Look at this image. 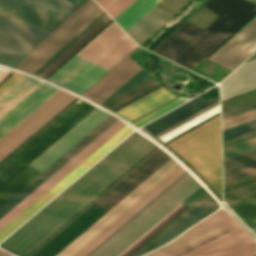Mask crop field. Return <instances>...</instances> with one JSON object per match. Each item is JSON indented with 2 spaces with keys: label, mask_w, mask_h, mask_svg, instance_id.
<instances>
[{
  "label": "crop field",
  "mask_w": 256,
  "mask_h": 256,
  "mask_svg": "<svg viewBox=\"0 0 256 256\" xmlns=\"http://www.w3.org/2000/svg\"><path fill=\"white\" fill-rule=\"evenodd\" d=\"M181 103H183V102L178 98V99L172 101L171 103H169V104L163 106L162 108L156 110L155 112L149 114L148 116H146V117L140 119L139 121H137V122H135V123H133V124H135L136 126L139 127V126H141V125L147 123L148 121H150V120L156 118L157 116H159V115L165 113L166 111H168V110L174 108L175 106H177V105H179V104H181Z\"/></svg>",
  "instance_id": "obj_43"
},
{
  "label": "crop field",
  "mask_w": 256,
  "mask_h": 256,
  "mask_svg": "<svg viewBox=\"0 0 256 256\" xmlns=\"http://www.w3.org/2000/svg\"><path fill=\"white\" fill-rule=\"evenodd\" d=\"M217 208H219V204L217 203V201L215 200L212 204H210L206 209H204L200 214H198L193 220H191L187 225H185L180 231H178L173 237H171L167 242H169L170 240H172L173 238H175L176 236H178L179 234H181L183 231H185L186 229H188L189 227H191L193 224H195L197 221H199L200 219H202L203 217H205L206 215L210 214L211 212H213L214 210H216ZM165 242V243H167ZM164 243V244H165Z\"/></svg>",
  "instance_id": "obj_45"
},
{
  "label": "crop field",
  "mask_w": 256,
  "mask_h": 256,
  "mask_svg": "<svg viewBox=\"0 0 256 256\" xmlns=\"http://www.w3.org/2000/svg\"><path fill=\"white\" fill-rule=\"evenodd\" d=\"M21 75L15 73L8 81L0 87V93L14 83ZM40 83L22 76L2 94H0V117L32 92Z\"/></svg>",
  "instance_id": "obj_21"
},
{
  "label": "crop field",
  "mask_w": 256,
  "mask_h": 256,
  "mask_svg": "<svg viewBox=\"0 0 256 256\" xmlns=\"http://www.w3.org/2000/svg\"><path fill=\"white\" fill-rule=\"evenodd\" d=\"M156 146L134 132L2 242L0 247L19 256L28 255Z\"/></svg>",
  "instance_id": "obj_1"
},
{
  "label": "crop field",
  "mask_w": 256,
  "mask_h": 256,
  "mask_svg": "<svg viewBox=\"0 0 256 256\" xmlns=\"http://www.w3.org/2000/svg\"><path fill=\"white\" fill-rule=\"evenodd\" d=\"M205 191L206 190L201 186L193 194H191L187 199H185L181 203V205L185 208ZM181 205L179 204L175 209H173L169 214H167L163 219H161L157 224H155L151 229H149L145 234H143L139 239H137L133 244H131L126 250H124L118 256L128 255L132 250H134L143 241H145L148 237H150L154 232H156L159 228H161L164 224H166L170 219H172L175 215H177L181 210H183L184 208Z\"/></svg>",
  "instance_id": "obj_30"
},
{
  "label": "crop field",
  "mask_w": 256,
  "mask_h": 256,
  "mask_svg": "<svg viewBox=\"0 0 256 256\" xmlns=\"http://www.w3.org/2000/svg\"><path fill=\"white\" fill-rule=\"evenodd\" d=\"M26 167L27 166L11 158L7 160L3 165L0 166V188ZM39 174L40 173L27 167L5 186H3L0 189V207Z\"/></svg>",
  "instance_id": "obj_20"
},
{
  "label": "crop field",
  "mask_w": 256,
  "mask_h": 256,
  "mask_svg": "<svg viewBox=\"0 0 256 256\" xmlns=\"http://www.w3.org/2000/svg\"><path fill=\"white\" fill-rule=\"evenodd\" d=\"M111 19L107 15L97 25H95L90 31H88L83 37H81L75 44H73L68 50H66L51 66L44 70L39 76L45 78L50 72H52L58 65H60L66 58H68L74 51H76L82 44H84L90 37H92L98 30H100Z\"/></svg>",
  "instance_id": "obj_32"
},
{
  "label": "crop field",
  "mask_w": 256,
  "mask_h": 256,
  "mask_svg": "<svg viewBox=\"0 0 256 256\" xmlns=\"http://www.w3.org/2000/svg\"><path fill=\"white\" fill-rule=\"evenodd\" d=\"M202 8L219 17L204 30L186 21L153 52L192 70L256 13L245 0H210Z\"/></svg>",
  "instance_id": "obj_2"
},
{
  "label": "crop field",
  "mask_w": 256,
  "mask_h": 256,
  "mask_svg": "<svg viewBox=\"0 0 256 256\" xmlns=\"http://www.w3.org/2000/svg\"><path fill=\"white\" fill-rule=\"evenodd\" d=\"M5 254H7V253L4 252V251H2V250H0V256H3V255H5Z\"/></svg>",
  "instance_id": "obj_51"
},
{
  "label": "crop field",
  "mask_w": 256,
  "mask_h": 256,
  "mask_svg": "<svg viewBox=\"0 0 256 256\" xmlns=\"http://www.w3.org/2000/svg\"><path fill=\"white\" fill-rule=\"evenodd\" d=\"M140 69L141 68L138 65H136L132 60L125 56L96 83H94L87 91H85L83 95L101 104ZM148 77L150 76L141 69L107 100Z\"/></svg>",
  "instance_id": "obj_12"
},
{
  "label": "crop field",
  "mask_w": 256,
  "mask_h": 256,
  "mask_svg": "<svg viewBox=\"0 0 256 256\" xmlns=\"http://www.w3.org/2000/svg\"><path fill=\"white\" fill-rule=\"evenodd\" d=\"M256 174V166L250 167L248 169L233 173L231 175L224 177V185L231 183L233 181L248 177L250 175Z\"/></svg>",
  "instance_id": "obj_46"
},
{
  "label": "crop field",
  "mask_w": 256,
  "mask_h": 256,
  "mask_svg": "<svg viewBox=\"0 0 256 256\" xmlns=\"http://www.w3.org/2000/svg\"><path fill=\"white\" fill-rule=\"evenodd\" d=\"M113 18L133 0H96Z\"/></svg>",
  "instance_id": "obj_39"
},
{
  "label": "crop field",
  "mask_w": 256,
  "mask_h": 256,
  "mask_svg": "<svg viewBox=\"0 0 256 256\" xmlns=\"http://www.w3.org/2000/svg\"><path fill=\"white\" fill-rule=\"evenodd\" d=\"M180 164L173 158L56 256H71Z\"/></svg>",
  "instance_id": "obj_11"
},
{
  "label": "crop field",
  "mask_w": 256,
  "mask_h": 256,
  "mask_svg": "<svg viewBox=\"0 0 256 256\" xmlns=\"http://www.w3.org/2000/svg\"><path fill=\"white\" fill-rule=\"evenodd\" d=\"M240 228L227 212L220 209L145 256H186ZM254 245L256 242L242 228L188 256H234Z\"/></svg>",
  "instance_id": "obj_4"
},
{
  "label": "crop field",
  "mask_w": 256,
  "mask_h": 256,
  "mask_svg": "<svg viewBox=\"0 0 256 256\" xmlns=\"http://www.w3.org/2000/svg\"><path fill=\"white\" fill-rule=\"evenodd\" d=\"M200 186L188 173L90 256H117Z\"/></svg>",
  "instance_id": "obj_8"
},
{
  "label": "crop field",
  "mask_w": 256,
  "mask_h": 256,
  "mask_svg": "<svg viewBox=\"0 0 256 256\" xmlns=\"http://www.w3.org/2000/svg\"><path fill=\"white\" fill-rule=\"evenodd\" d=\"M219 105H220V104H219ZM217 106H218V105H217ZM208 111H209V110H208ZM218 112H220V106H218V107H216V108L210 110L209 112H207V113H205V114H203V115H201V116L199 115L200 117H198V118H196V119L190 121L189 123H187V124H185V125L179 127L178 129H176V130L170 132L169 134H167V135H165V136H163V137H161V138H159V139H161L162 141L165 142V141H167V140L173 138L174 136H176V135L182 133L183 131H185V130L191 128V127H193L194 125H196V124L202 122L203 120H205V119L211 117L212 115H214V114H216V113H218Z\"/></svg>",
  "instance_id": "obj_38"
},
{
  "label": "crop field",
  "mask_w": 256,
  "mask_h": 256,
  "mask_svg": "<svg viewBox=\"0 0 256 256\" xmlns=\"http://www.w3.org/2000/svg\"><path fill=\"white\" fill-rule=\"evenodd\" d=\"M62 1H66L72 4H76V5H81L82 3H84L86 0H62Z\"/></svg>",
  "instance_id": "obj_49"
},
{
  "label": "crop field",
  "mask_w": 256,
  "mask_h": 256,
  "mask_svg": "<svg viewBox=\"0 0 256 256\" xmlns=\"http://www.w3.org/2000/svg\"><path fill=\"white\" fill-rule=\"evenodd\" d=\"M256 108V99L222 111L223 120Z\"/></svg>",
  "instance_id": "obj_42"
},
{
  "label": "crop field",
  "mask_w": 256,
  "mask_h": 256,
  "mask_svg": "<svg viewBox=\"0 0 256 256\" xmlns=\"http://www.w3.org/2000/svg\"><path fill=\"white\" fill-rule=\"evenodd\" d=\"M256 130V119L223 131V142Z\"/></svg>",
  "instance_id": "obj_37"
},
{
  "label": "crop field",
  "mask_w": 256,
  "mask_h": 256,
  "mask_svg": "<svg viewBox=\"0 0 256 256\" xmlns=\"http://www.w3.org/2000/svg\"><path fill=\"white\" fill-rule=\"evenodd\" d=\"M255 50L256 18L211 56L210 59L233 70Z\"/></svg>",
  "instance_id": "obj_16"
},
{
  "label": "crop field",
  "mask_w": 256,
  "mask_h": 256,
  "mask_svg": "<svg viewBox=\"0 0 256 256\" xmlns=\"http://www.w3.org/2000/svg\"><path fill=\"white\" fill-rule=\"evenodd\" d=\"M210 196L211 195L207 191L203 193L199 198H197L193 203H191L187 208H185L181 213H179L175 218H173L169 223H167L163 228H161L157 233H155L151 238H149L129 256H139L142 252H144L148 247H150L154 242H156L160 237H162L166 232H168L172 227H174L178 222H180L184 217H186L190 212H192L196 207H198Z\"/></svg>",
  "instance_id": "obj_29"
},
{
  "label": "crop field",
  "mask_w": 256,
  "mask_h": 256,
  "mask_svg": "<svg viewBox=\"0 0 256 256\" xmlns=\"http://www.w3.org/2000/svg\"><path fill=\"white\" fill-rule=\"evenodd\" d=\"M7 255H9V254H7ZM7 255H5V256H7ZM9 256H12V255H9Z\"/></svg>",
  "instance_id": "obj_52"
},
{
  "label": "crop field",
  "mask_w": 256,
  "mask_h": 256,
  "mask_svg": "<svg viewBox=\"0 0 256 256\" xmlns=\"http://www.w3.org/2000/svg\"><path fill=\"white\" fill-rule=\"evenodd\" d=\"M229 207L251 230L256 228V193L229 205Z\"/></svg>",
  "instance_id": "obj_31"
},
{
  "label": "crop field",
  "mask_w": 256,
  "mask_h": 256,
  "mask_svg": "<svg viewBox=\"0 0 256 256\" xmlns=\"http://www.w3.org/2000/svg\"><path fill=\"white\" fill-rule=\"evenodd\" d=\"M136 46L113 22L78 55L110 69ZM78 55L52 75L49 80L82 94L108 69Z\"/></svg>",
  "instance_id": "obj_5"
},
{
  "label": "crop field",
  "mask_w": 256,
  "mask_h": 256,
  "mask_svg": "<svg viewBox=\"0 0 256 256\" xmlns=\"http://www.w3.org/2000/svg\"><path fill=\"white\" fill-rule=\"evenodd\" d=\"M217 101L219 98L203 100L197 97L143 127L156 135Z\"/></svg>",
  "instance_id": "obj_22"
},
{
  "label": "crop field",
  "mask_w": 256,
  "mask_h": 256,
  "mask_svg": "<svg viewBox=\"0 0 256 256\" xmlns=\"http://www.w3.org/2000/svg\"><path fill=\"white\" fill-rule=\"evenodd\" d=\"M256 118V109L223 121V130Z\"/></svg>",
  "instance_id": "obj_44"
},
{
  "label": "crop field",
  "mask_w": 256,
  "mask_h": 256,
  "mask_svg": "<svg viewBox=\"0 0 256 256\" xmlns=\"http://www.w3.org/2000/svg\"><path fill=\"white\" fill-rule=\"evenodd\" d=\"M160 1L161 0H136L114 20L126 31Z\"/></svg>",
  "instance_id": "obj_27"
},
{
  "label": "crop field",
  "mask_w": 256,
  "mask_h": 256,
  "mask_svg": "<svg viewBox=\"0 0 256 256\" xmlns=\"http://www.w3.org/2000/svg\"><path fill=\"white\" fill-rule=\"evenodd\" d=\"M256 1V0H255Z\"/></svg>",
  "instance_id": "obj_54"
},
{
  "label": "crop field",
  "mask_w": 256,
  "mask_h": 256,
  "mask_svg": "<svg viewBox=\"0 0 256 256\" xmlns=\"http://www.w3.org/2000/svg\"><path fill=\"white\" fill-rule=\"evenodd\" d=\"M214 200L215 199L212 196L209 199H207L203 204H201L197 209H195L191 214H189L185 219H183L179 224H177L173 229H171L167 234H165L161 239H159L144 253L161 246L165 241H167L171 236H173L178 230H180L185 224H187L191 219H193L198 213H200L205 207H207Z\"/></svg>",
  "instance_id": "obj_35"
},
{
  "label": "crop field",
  "mask_w": 256,
  "mask_h": 256,
  "mask_svg": "<svg viewBox=\"0 0 256 256\" xmlns=\"http://www.w3.org/2000/svg\"><path fill=\"white\" fill-rule=\"evenodd\" d=\"M256 150V137L223 149L224 161Z\"/></svg>",
  "instance_id": "obj_36"
},
{
  "label": "crop field",
  "mask_w": 256,
  "mask_h": 256,
  "mask_svg": "<svg viewBox=\"0 0 256 256\" xmlns=\"http://www.w3.org/2000/svg\"><path fill=\"white\" fill-rule=\"evenodd\" d=\"M217 104H219V102H217V103H215V104L211 105L210 107H208V108H206V109L202 110L201 112H199V113H197V114L193 115L192 117H190V118H188V119H186V120L182 121L181 123H179V124H177V125L173 126L172 128H170V129H168V130L164 131L163 133H161V134H159V135H157V136H155V137H157V138H158V137H160V136L164 135L165 133H167V132H169V131L173 130L174 128H176V127L180 126L181 124H183V123H185V122L189 121L190 119H192V118L196 117L197 115H199V114L203 113L204 111H206V110H208V109L212 108L213 106H215V105H217Z\"/></svg>",
  "instance_id": "obj_47"
},
{
  "label": "crop field",
  "mask_w": 256,
  "mask_h": 256,
  "mask_svg": "<svg viewBox=\"0 0 256 256\" xmlns=\"http://www.w3.org/2000/svg\"><path fill=\"white\" fill-rule=\"evenodd\" d=\"M131 131L132 129L126 125L112 138H110L106 143H104L99 149H97L93 154H91L87 159H85L80 165H78L74 170H72L68 175H66L62 180H60L55 186H53L49 191H47L43 196H41L37 201H35L30 207H28L24 212H22L18 217H16L11 223H9L5 228H3L0 231V241H2L6 236H8L13 230H15L25 220H27L32 214H34L38 209H40L45 203H47L51 198H53L58 192H60L64 187H66L70 182H72L77 176H79L83 171H85L90 165H92L96 160H98L103 154H105L109 149H111L115 144H117Z\"/></svg>",
  "instance_id": "obj_13"
},
{
  "label": "crop field",
  "mask_w": 256,
  "mask_h": 256,
  "mask_svg": "<svg viewBox=\"0 0 256 256\" xmlns=\"http://www.w3.org/2000/svg\"><path fill=\"white\" fill-rule=\"evenodd\" d=\"M116 121L117 119L110 116L90 134H88L84 139H82L78 144H76L71 150H69L46 171H44L40 176H38L34 181H32L16 196H14L10 201H8L3 207H1L0 218L3 217L8 211H10L14 206H16L27 195H29L33 190H35L39 185H41L52 174H54L58 169H60L64 164H66L70 159H72L77 153H79L83 148H85L89 143H91L96 137H98L102 132H104Z\"/></svg>",
  "instance_id": "obj_15"
},
{
  "label": "crop field",
  "mask_w": 256,
  "mask_h": 256,
  "mask_svg": "<svg viewBox=\"0 0 256 256\" xmlns=\"http://www.w3.org/2000/svg\"><path fill=\"white\" fill-rule=\"evenodd\" d=\"M256 190V181L225 192L224 202L229 203Z\"/></svg>",
  "instance_id": "obj_40"
},
{
  "label": "crop field",
  "mask_w": 256,
  "mask_h": 256,
  "mask_svg": "<svg viewBox=\"0 0 256 256\" xmlns=\"http://www.w3.org/2000/svg\"><path fill=\"white\" fill-rule=\"evenodd\" d=\"M158 86L160 85L150 77L148 80L138 84L137 86L125 91L124 93L101 105L114 111Z\"/></svg>",
  "instance_id": "obj_28"
},
{
  "label": "crop field",
  "mask_w": 256,
  "mask_h": 256,
  "mask_svg": "<svg viewBox=\"0 0 256 256\" xmlns=\"http://www.w3.org/2000/svg\"><path fill=\"white\" fill-rule=\"evenodd\" d=\"M49 32L0 18V46L29 54Z\"/></svg>",
  "instance_id": "obj_17"
},
{
  "label": "crop field",
  "mask_w": 256,
  "mask_h": 256,
  "mask_svg": "<svg viewBox=\"0 0 256 256\" xmlns=\"http://www.w3.org/2000/svg\"><path fill=\"white\" fill-rule=\"evenodd\" d=\"M10 72V70H6L3 68H0V81Z\"/></svg>",
  "instance_id": "obj_50"
},
{
  "label": "crop field",
  "mask_w": 256,
  "mask_h": 256,
  "mask_svg": "<svg viewBox=\"0 0 256 256\" xmlns=\"http://www.w3.org/2000/svg\"><path fill=\"white\" fill-rule=\"evenodd\" d=\"M125 125L126 124L118 120L110 128H108L104 133H102L98 138H96L91 144H89L85 149H83L79 154H77L72 160H70L66 165H64L60 170H58L54 175H52L47 181H45L29 196H27L22 202H20L16 207H14L10 212H8L3 218H1L0 230L3 227H5L9 222H11L16 216H18L22 211H24L28 206H30L35 200H37L41 195H43L47 190H49L60 179H62L66 174H68L72 169H74L78 164H80L85 158H87L91 153H93L97 148H99L104 142H106L110 137H112L116 132H118Z\"/></svg>",
  "instance_id": "obj_14"
},
{
  "label": "crop field",
  "mask_w": 256,
  "mask_h": 256,
  "mask_svg": "<svg viewBox=\"0 0 256 256\" xmlns=\"http://www.w3.org/2000/svg\"><path fill=\"white\" fill-rule=\"evenodd\" d=\"M0 1L13 4L19 7H23L29 10H33L39 13H43L49 16H53L59 19H63V20L67 18L72 12H74L79 7V6L72 5L59 0H31V1L48 5L54 8H58L64 11L71 12V13H68V12H64V11L54 9L48 6H44L38 3H34L28 0H0Z\"/></svg>",
  "instance_id": "obj_24"
},
{
  "label": "crop field",
  "mask_w": 256,
  "mask_h": 256,
  "mask_svg": "<svg viewBox=\"0 0 256 256\" xmlns=\"http://www.w3.org/2000/svg\"><path fill=\"white\" fill-rule=\"evenodd\" d=\"M171 158L159 148L94 204L108 211ZM94 204L32 256H55L107 212Z\"/></svg>",
  "instance_id": "obj_6"
},
{
  "label": "crop field",
  "mask_w": 256,
  "mask_h": 256,
  "mask_svg": "<svg viewBox=\"0 0 256 256\" xmlns=\"http://www.w3.org/2000/svg\"><path fill=\"white\" fill-rule=\"evenodd\" d=\"M173 97L175 96L171 95L162 88L154 92L153 94L145 97L144 99L134 103L133 105L125 108L124 110L118 112L117 114L130 121Z\"/></svg>",
  "instance_id": "obj_26"
},
{
  "label": "crop field",
  "mask_w": 256,
  "mask_h": 256,
  "mask_svg": "<svg viewBox=\"0 0 256 256\" xmlns=\"http://www.w3.org/2000/svg\"><path fill=\"white\" fill-rule=\"evenodd\" d=\"M171 16L155 6L126 32L139 44Z\"/></svg>",
  "instance_id": "obj_25"
},
{
  "label": "crop field",
  "mask_w": 256,
  "mask_h": 256,
  "mask_svg": "<svg viewBox=\"0 0 256 256\" xmlns=\"http://www.w3.org/2000/svg\"><path fill=\"white\" fill-rule=\"evenodd\" d=\"M94 108L79 99L12 157L28 165ZM108 116L95 108L28 166L42 173Z\"/></svg>",
  "instance_id": "obj_3"
},
{
  "label": "crop field",
  "mask_w": 256,
  "mask_h": 256,
  "mask_svg": "<svg viewBox=\"0 0 256 256\" xmlns=\"http://www.w3.org/2000/svg\"><path fill=\"white\" fill-rule=\"evenodd\" d=\"M254 254H256V246L247 250V251H245V252H243V253H241V254H239V255H237V256H252Z\"/></svg>",
  "instance_id": "obj_48"
},
{
  "label": "crop field",
  "mask_w": 256,
  "mask_h": 256,
  "mask_svg": "<svg viewBox=\"0 0 256 256\" xmlns=\"http://www.w3.org/2000/svg\"><path fill=\"white\" fill-rule=\"evenodd\" d=\"M26 54L0 47V62L16 66Z\"/></svg>",
  "instance_id": "obj_41"
},
{
  "label": "crop field",
  "mask_w": 256,
  "mask_h": 256,
  "mask_svg": "<svg viewBox=\"0 0 256 256\" xmlns=\"http://www.w3.org/2000/svg\"><path fill=\"white\" fill-rule=\"evenodd\" d=\"M256 256V255H255Z\"/></svg>",
  "instance_id": "obj_53"
},
{
  "label": "crop field",
  "mask_w": 256,
  "mask_h": 256,
  "mask_svg": "<svg viewBox=\"0 0 256 256\" xmlns=\"http://www.w3.org/2000/svg\"><path fill=\"white\" fill-rule=\"evenodd\" d=\"M58 89L41 84L0 119V138L51 97Z\"/></svg>",
  "instance_id": "obj_19"
},
{
  "label": "crop field",
  "mask_w": 256,
  "mask_h": 256,
  "mask_svg": "<svg viewBox=\"0 0 256 256\" xmlns=\"http://www.w3.org/2000/svg\"><path fill=\"white\" fill-rule=\"evenodd\" d=\"M256 165V151L224 162V176Z\"/></svg>",
  "instance_id": "obj_33"
},
{
  "label": "crop field",
  "mask_w": 256,
  "mask_h": 256,
  "mask_svg": "<svg viewBox=\"0 0 256 256\" xmlns=\"http://www.w3.org/2000/svg\"><path fill=\"white\" fill-rule=\"evenodd\" d=\"M185 171L186 170L181 165L176 168L165 179L157 184L152 190L144 195L139 201H137L133 206H131L127 211H125L121 216H119L115 221H113L108 227H106L102 232H100L96 237H94L73 256H86L99 243H101L105 238H107L111 233H113L117 228H119L123 223L131 218L145 204H147L151 199H153L157 194H159L163 189H165Z\"/></svg>",
  "instance_id": "obj_18"
},
{
  "label": "crop field",
  "mask_w": 256,
  "mask_h": 256,
  "mask_svg": "<svg viewBox=\"0 0 256 256\" xmlns=\"http://www.w3.org/2000/svg\"><path fill=\"white\" fill-rule=\"evenodd\" d=\"M103 10L88 0L56 28L17 67L32 73Z\"/></svg>",
  "instance_id": "obj_9"
},
{
  "label": "crop field",
  "mask_w": 256,
  "mask_h": 256,
  "mask_svg": "<svg viewBox=\"0 0 256 256\" xmlns=\"http://www.w3.org/2000/svg\"><path fill=\"white\" fill-rule=\"evenodd\" d=\"M166 145L187 160L221 195L220 115Z\"/></svg>",
  "instance_id": "obj_7"
},
{
  "label": "crop field",
  "mask_w": 256,
  "mask_h": 256,
  "mask_svg": "<svg viewBox=\"0 0 256 256\" xmlns=\"http://www.w3.org/2000/svg\"><path fill=\"white\" fill-rule=\"evenodd\" d=\"M107 14L103 11L92 22H90L84 29H82L76 36H74L68 43H66L60 50H58L52 57H50L44 64H42L33 74L38 75L50 64H52L66 49H68L74 42H76L81 36H83L88 30H90L96 23H98Z\"/></svg>",
  "instance_id": "obj_34"
},
{
  "label": "crop field",
  "mask_w": 256,
  "mask_h": 256,
  "mask_svg": "<svg viewBox=\"0 0 256 256\" xmlns=\"http://www.w3.org/2000/svg\"><path fill=\"white\" fill-rule=\"evenodd\" d=\"M0 16L52 32L62 20L0 2Z\"/></svg>",
  "instance_id": "obj_23"
},
{
  "label": "crop field",
  "mask_w": 256,
  "mask_h": 256,
  "mask_svg": "<svg viewBox=\"0 0 256 256\" xmlns=\"http://www.w3.org/2000/svg\"><path fill=\"white\" fill-rule=\"evenodd\" d=\"M76 97L61 90L55 93L9 133L0 139V161L69 105Z\"/></svg>",
  "instance_id": "obj_10"
}]
</instances>
